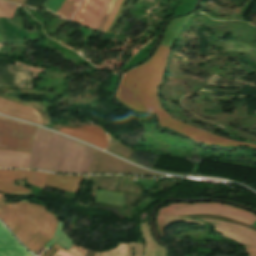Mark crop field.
Masks as SVG:
<instances>
[{"label": "crop field", "mask_w": 256, "mask_h": 256, "mask_svg": "<svg viewBox=\"0 0 256 256\" xmlns=\"http://www.w3.org/2000/svg\"><path fill=\"white\" fill-rule=\"evenodd\" d=\"M163 215L209 213L225 216L252 225L256 214L216 202L171 203L158 210Z\"/></svg>", "instance_id": "crop-field-3"}, {"label": "crop field", "mask_w": 256, "mask_h": 256, "mask_svg": "<svg viewBox=\"0 0 256 256\" xmlns=\"http://www.w3.org/2000/svg\"><path fill=\"white\" fill-rule=\"evenodd\" d=\"M72 5V2L65 1L61 9L58 11V13L62 14L65 17L70 11Z\"/></svg>", "instance_id": "crop-field-24"}, {"label": "crop field", "mask_w": 256, "mask_h": 256, "mask_svg": "<svg viewBox=\"0 0 256 256\" xmlns=\"http://www.w3.org/2000/svg\"><path fill=\"white\" fill-rule=\"evenodd\" d=\"M92 150V147L37 127L28 168L66 174H87Z\"/></svg>", "instance_id": "crop-field-2"}, {"label": "crop field", "mask_w": 256, "mask_h": 256, "mask_svg": "<svg viewBox=\"0 0 256 256\" xmlns=\"http://www.w3.org/2000/svg\"><path fill=\"white\" fill-rule=\"evenodd\" d=\"M56 226L57 218L46 211L40 231L26 247L36 255L43 245L51 240Z\"/></svg>", "instance_id": "crop-field-10"}, {"label": "crop field", "mask_w": 256, "mask_h": 256, "mask_svg": "<svg viewBox=\"0 0 256 256\" xmlns=\"http://www.w3.org/2000/svg\"><path fill=\"white\" fill-rule=\"evenodd\" d=\"M20 203H6L0 205V219L13 232L18 217V209Z\"/></svg>", "instance_id": "crop-field-15"}, {"label": "crop field", "mask_w": 256, "mask_h": 256, "mask_svg": "<svg viewBox=\"0 0 256 256\" xmlns=\"http://www.w3.org/2000/svg\"><path fill=\"white\" fill-rule=\"evenodd\" d=\"M115 1H116V0H111V1H110L109 7H108L106 13L104 14L103 18L101 19V21H100V23H99V25H98V27H97V30H99V31L101 30V28H102L104 22L106 21V19H107L109 13H110V11H111V9H112V7H113Z\"/></svg>", "instance_id": "crop-field-23"}, {"label": "crop field", "mask_w": 256, "mask_h": 256, "mask_svg": "<svg viewBox=\"0 0 256 256\" xmlns=\"http://www.w3.org/2000/svg\"><path fill=\"white\" fill-rule=\"evenodd\" d=\"M0 42H3V39H2V32H1V26H0Z\"/></svg>", "instance_id": "crop-field-32"}, {"label": "crop field", "mask_w": 256, "mask_h": 256, "mask_svg": "<svg viewBox=\"0 0 256 256\" xmlns=\"http://www.w3.org/2000/svg\"><path fill=\"white\" fill-rule=\"evenodd\" d=\"M101 129L96 126L87 125L85 127L75 129L60 128L58 131L85 141L96 147L105 149L107 147V139Z\"/></svg>", "instance_id": "crop-field-9"}, {"label": "crop field", "mask_w": 256, "mask_h": 256, "mask_svg": "<svg viewBox=\"0 0 256 256\" xmlns=\"http://www.w3.org/2000/svg\"><path fill=\"white\" fill-rule=\"evenodd\" d=\"M209 222L223 236L242 241L247 256H256V232L227 222L201 219Z\"/></svg>", "instance_id": "crop-field-5"}, {"label": "crop field", "mask_w": 256, "mask_h": 256, "mask_svg": "<svg viewBox=\"0 0 256 256\" xmlns=\"http://www.w3.org/2000/svg\"><path fill=\"white\" fill-rule=\"evenodd\" d=\"M45 0H26L25 5L39 8Z\"/></svg>", "instance_id": "crop-field-26"}, {"label": "crop field", "mask_w": 256, "mask_h": 256, "mask_svg": "<svg viewBox=\"0 0 256 256\" xmlns=\"http://www.w3.org/2000/svg\"><path fill=\"white\" fill-rule=\"evenodd\" d=\"M0 192L5 193H24L30 192L27 188L22 186L0 187Z\"/></svg>", "instance_id": "crop-field-22"}, {"label": "crop field", "mask_w": 256, "mask_h": 256, "mask_svg": "<svg viewBox=\"0 0 256 256\" xmlns=\"http://www.w3.org/2000/svg\"><path fill=\"white\" fill-rule=\"evenodd\" d=\"M30 154L0 150V167L27 168Z\"/></svg>", "instance_id": "crop-field-14"}, {"label": "crop field", "mask_w": 256, "mask_h": 256, "mask_svg": "<svg viewBox=\"0 0 256 256\" xmlns=\"http://www.w3.org/2000/svg\"><path fill=\"white\" fill-rule=\"evenodd\" d=\"M0 113L7 116L20 118L30 122L41 124L37 112L27 106L6 100L0 97Z\"/></svg>", "instance_id": "crop-field-11"}, {"label": "crop field", "mask_w": 256, "mask_h": 256, "mask_svg": "<svg viewBox=\"0 0 256 256\" xmlns=\"http://www.w3.org/2000/svg\"><path fill=\"white\" fill-rule=\"evenodd\" d=\"M96 201L124 206L123 193L97 190Z\"/></svg>", "instance_id": "crop-field-17"}, {"label": "crop field", "mask_w": 256, "mask_h": 256, "mask_svg": "<svg viewBox=\"0 0 256 256\" xmlns=\"http://www.w3.org/2000/svg\"><path fill=\"white\" fill-rule=\"evenodd\" d=\"M109 0H82L78 12L72 21L96 29Z\"/></svg>", "instance_id": "crop-field-7"}, {"label": "crop field", "mask_w": 256, "mask_h": 256, "mask_svg": "<svg viewBox=\"0 0 256 256\" xmlns=\"http://www.w3.org/2000/svg\"><path fill=\"white\" fill-rule=\"evenodd\" d=\"M60 247L54 245L52 247L49 248V250L43 255V256H52V254L58 250Z\"/></svg>", "instance_id": "crop-field-28"}, {"label": "crop field", "mask_w": 256, "mask_h": 256, "mask_svg": "<svg viewBox=\"0 0 256 256\" xmlns=\"http://www.w3.org/2000/svg\"><path fill=\"white\" fill-rule=\"evenodd\" d=\"M68 1L75 2V4H74L73 8L71 9L70 13L68 14V16L66 15L67 16L66 19L70 20L73 13L76 11V9L78 7L80 0H68Z\"/></svg>", "instance_id": "crop-field-27"}, {"label": "crop field", "mask_w": 256, "mask_h": 256, "mask_svg": "<svg viewBox=\"0 0 256 256\" xmlns=\"http://www.w3.org/2000/svg\"><path fill=\"white\" fill-rule=\"evenodd\" d=\"M0 174H24L27 175V182L44 189V181L46 173L35 171L20 170H0Z\"/></svg>", "instance_id": "crop-field-16"}, {"label": "crop field", "mask_w": 256, "mask_h": 256, "mask_svg": "<svg viewBox=\"0 0 256 256\" xmlns=\"http://www.w3.org/2000/svg\"><path fill=\"white\" fill-rule=\"evenodd\" d=\"M15 185L14 181H0V186H11Z\"/></svg>", "instance_id": "crop-field-29"}, {"label": "crop field", "mask_w": 256, "mask_h": 256, "mask_svg": "<svg viewBox=\"0 0 256 256\" xmlns=\"http://www.w3.org/2000/svg\"><path fill=\"white\" fill-rule=\"evenodd\" d=\"M45 209V206L28 203L25 224L16 235L25 246L39 231Z\"/></svg>", "instance_id": "crop-field-8"}, {"label": "crop field", "mask_w": 256, "mask_h": 256, "mask_svg": "<svg viewBox=\"0 0 256 256\" xmlns=\"http://www.w3.org/2000/svg\"><path fill=\"white\" fill-rule=\"evenodd\" d=\"M81 177L82 176H61L48 174L45 185L77 193Z\"/></svg>", "instance_id": "crop-field-13"}, {"label": "crop field", "mask_w": 256, "mask_h": 256, "mask_svg": "<svg viewBox=\"0 0 256 256\" xmlns=\"http://www.w3.org/2000/svg\"><path fill=\"white\" fill-rule=\"evenodd\" d=\"M23 175H0V180H18L24 179Z\"/></svg>", "instance_id": "crop-field-25"}, {"label": "crop field", "mask_w": 256, "mask_h": 256, "mask_svg": "<svg viewBox=\"0 0 256 256\" xmlns=\"http://www.w3.org/2000/svg\"><path fill=\"white\" fill-rule=\"evenodd\" d=\"M35 128L0 116V149L30 153Z\"/></svg>", "instance_id": "crop-field-4"}, {"label": "crop field", "mask_w": 256, "mask_h": 256, "mask_svg": "<svg viewBox=\"0 0 256 256\" xmlns=\"http://www.w3.org/2000/svg\"><path fill=\"white\" fill-rule=\"evenodd\" d=\"M178 221H185L187 223H197V224L207 225L205 223H202L193 219L157 215V228L161 237L162 238L164 237V223L178 222Z\"/></svg>", "instance_id": "crop-field-18"}, {"label": "crop field", "mask_w": 256, "mask_h": 256, "mask_svg": "<svg viewBox=\"0 0 256 256\" xmlns=\"http://www.w3.org/2000/svg\"><path fill=\"white\" fill-rule=\"evenodd\" d=\"M17 5L0 0V16L13 18Z\"/></svg>", "instance_id": "crop-field-19"}, {"label": "crop field", "mask_w": 256, "mask_h": 256, "mask_svg": "<svg viewBox=\"0 0 256 256\" xmlns=\"http://www.w3.org/2000/svg\"><path fill=\"white\" fill-rule=\"evenodd\" d=\"M171 48L162 46L144 64L124 74L117 98L130 108L144 113H155L161 125L177 130L197 142L220 146L256 145L241 143L199 130L170 116L160 105L157 90L162 80L167 56Z\"/></svg>", "instance_id": "crop-field-1"}, {"label": "crop field", "mask_w": 256, "mask_h": 256, "mask_svg": "<svg viewBox=\"0 0 256 256\" xmlns=\"http://www.w3.org/2000/svg\"><path fill=\"white\" fill-rule=\"evenodd\" d=\"M34 72L0 62V88H33Z\"/></svg>", "instance_id": "crop-field-6"}, {"label": "crop field", "mask_w": 256, "mask_h": 256, "mask_svg": "<svg viewBox=\"0 0 256 256\" xmlns=\"http://www.w3.org/2000/svg\"><path fill=\"white\" fill-rule=\"evenodd\" d=\"M121 1H122V0H117V1H116L115 5H114V7H113V9H112V11H111V13H110V16H109L107 22L105 23V25H104V27H103V29H102L103 32H106V30L108 29V27H109L110 24L112 23V21H113L115 15H116V13H117V10H118V8H119V5H120Z\"/></svg>", "instance_id": "crop-field-21"}, {"label": "crop field", "mask_w": 256, "mask_h": 256, "mask_svg": "<svg viewBox=\"0 0 256 256\" xmlns=\"http://www.w3.org/2000/svg\"><path fill=\"white\" fill-rule=\"evenodd\" d=\"M6 202H7V201H6V199H5L4 195H3V193H0V204L6 203Z\"/></svg>", "instance_id": "crop-field-30"}, {"label": "crop field", "mask_w": 256, "mask_h": 256, "mask_svg": "<svg viewBox=\"0 0 256 256\" xmlns=\"http://www.w3.org/2000/svg\"><path fill=\"white\" fill-rule=\"evenodd\" d=\"M0 256H32L0 223Z\"/></svg>", "instance_id": "crop-field-12"}, {"label": "crop field", "mask_w": 256, "mask_h": 256, "mask_svg": "<svg viewBox=\"0 0 256 256\" xmlns=\"http://www.w3.org/2000/svg\"><path fill=\"white\" fill-rule=\"evenodd\" d=\"M8 1L23 4L25 0H8Z\"/></svg>", "instance_id": "crop-field-31"}, {"label": "crop field", "mask_w": 256, "mask_h": 256, "mask_svg": "<svg viewBox=\"0 0 256 256\" xmlns=\"http://www.w3.org/2000/svg\"><path fill=\"white\" fill-rule=\"evenodd\" d=\"M27 202L28 201H21L18 222H17L16 228L13 232L15 235L19 232L20 228L22 227V225L24 223Z\"/></svg>", "instance_id": "crop-field-20"}]
</instances>
